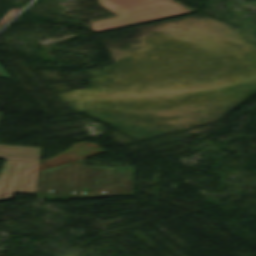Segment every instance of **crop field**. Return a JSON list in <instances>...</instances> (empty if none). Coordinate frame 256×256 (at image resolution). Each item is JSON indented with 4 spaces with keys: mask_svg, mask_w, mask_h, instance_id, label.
<instances>
[{
    "mask_svg": "<svg viewBox=\"0 0 256 256\" xmlns=\"http://www.w3.org/2000/svg\"><path fill=\"white\" fill-rule=\"evenodd\" d=\"M84 159L38 172L46 199L132 195L133 168L83 167Z\"/></svg>",
    "mask_w": 256,
    "mask_h": 256,
    "instance_id": "crop-field-1",
    "label": "crop field"
},
{
    "mask_svg": "<svg viewBox=\"0 0 256 256\" xmlns=\"http://www.w3.org/2000/svg\"><path fill=\"white\" fill-rule=\"evenodd\" d=\"M104 7L121 15L92 22L95 31L189 12L170 0H101Z\"/></svg>",
    "mask_w": 256,
    "mask_h": 256,
    "instance_id": "crop-field-2",
    "label": "crop field"
},
{
    "mask_svg": "<svg viewBox=\"0 0 256 256\" xmlns=\"http://www.w3.org/2000/svg\"><path fill=\"white\" fill-rule=\"evenodd\" d=\"M0 77L10 78V76L5 72V70L0 66Z\"/></svg>",
    "mask_w": 256,
    "mask_h": 256,
    "instance_id": "crop-field-3",
    "label": "crop field"
},
{
    "mask_svg": "<svg viewBox=\"0 0 256 256\" xmlns=\"http://www.w3.org/2000/svg\"><path fill=\"white\" fill-rule=\"evenodd\" d=\"M2 114H3V113H0V119H1Z\"/></svg>",
    "mask_w": 256,
    "mask_h": 256,
    "instance_id": "crop-field-4",
    "label": "crop field"
}]
</instances>
